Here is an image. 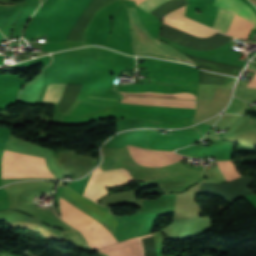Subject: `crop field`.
I'll return each mask as SVG.
<instances>
[{"label":"crop field","mask_w":256,"mask_h":256,"mask_svg":"<svg viewBox=\"0 0 256 256\" xmlns=\"http://www.w3.org/2000/svg\"><path fill=\"white\" fill-rule=\"evenodd\" d=\"M100 166L92 172L91 178H97L100 174ZM133 181L132 176L124 168L102 171L98 179H91L84 196L98 202L103 196L109 194L106 187L117 186Z\"/></svg>","instance_id":"crop-field-6"},{"label":"crop field","mask_w":256,"mask_h":256,"mask_svg":"<svg viewBox=\"0 0 256 256\" xmlns=\"http://www.w3.org/2000/svg\"><path fill=\"white\" fill-rule=\"evenodd\" d=\"M216 164L221 169L227 182L240 176L232 161H216Z\"/></svg>","instance_id":"crop-field-11"},{"label":"crop field","mask_w":256,"mask_h":256,"mask_svg":"<svg viewBox=\"0 0 256 256\" xmlns=\"http://www.w3.org/2000/svg\"><path fill=\"white\" fill-rule=\"evenodd\" d=\"M66 1L67 0H57L56 3L52 6V8L49 10L47 15L42 20V22L37 27L36 32L34 34L35 40L38 37L44 36V33H45L48 25L50 24L51 20L58 13V11L62 8V6L66 3Z\"/></svg>","instance_id":"crop-field-9"},{"label":"crop field","mask_w":256,"mask_h":256,"mask_svg":"<svg viewBox=\"0 0 256 256\" xmlns=\"http://www.w3.org/2000/svg\"><path fill=\"white\" fill-rule=\"evenodd\" d=\"M239 102V100L233 98L231 104L229 105L228 109L225 112L234 113Z\"/></svg>","instance_id":"crop-field-14"},{"label":"crop field","mask_w":256,"mask_h":256,"mask_svg":"<svg viewBox=\"0 0 256 256\" xmlns=\"http://www.w3.org/2000/svg\"><path fill=\"white\" fill-rule=\"evenodd\" d=\"M134 239H135V238H134ZM134 239L124 240V241H122V242H119V243L114 244V245H112V246H109V247H107V248H104V249H102V250H100V251L106 252V251H110V250L119 248V247H121V246H124V245H127V244L133 242Z\"/></svg>","instance_id":"crop-field-13"},{"label":"crop field","mask_w":256,"mask_h":256,"mask_svg":"<svg viewBox=\"0 0 256 256\" xmlns=\"http://www.w3.org/2000/svg\"><path fill=\"white\" fill-rule=\"evenodd\" d=\"M63 192L67 193L71 197L75 198L79 202L83 203L87 207L91 208L95 212L99 213L103 217L107 218L108 220L116 224L118 218L102 210L101 208L97 207L96 205L92 204L91 202L87 201L86 199L82 198L81 196L75 194L74 192L70 191L65 187ZM61 200H63L65 203H67L68 205L73 207L75 210L80 212L82 215H84L85 217L90 219L92 222L97 224L99 227H101L96 221H94L91 217H89L88 215H86L85 213L77 209L75 206H73L63 198H61ZM63 201L60 202L62 219H64L66 222H68L69 224L77 228L83 234V236L87 239V243L91 247L96 249L106 247L108 245V242L111 236L109 234H111L112 232L102 228L103 227L102 226L101 228L107 231L109 233L108 234L107 232L99 228L97 225L92 223L90 220L82 216L80 213L75 211L73 208L65 204Z\"/></svg>","instance_id":"crop-field-1"},{"label":"crop field","mask_w":256,"mask_h":256,"mask_svg":"<svg viewBox=\"0 0 256 256\" xmlns=\"http://www.w3.org/2000/svg\"><path fill=\"white\" fill-rule=\"evenodd\" d=\"M129 15L131 17V22L133 25L140 31V33L147 39L149 40L152 44L158 46L159 48L167 51L168 53L174 55L176 58H178L181 61L189 62L191 64H195L191 59L187 58L186 56L182 55L181 53L175 51L171 46L168 44L157 41L149 32L148 30L143 27L136 15V12L134 9H129L128 8ZM133 35H134V47H135V52L138 55H151V56H156V57H162L170 60H176L174 56L168 54L167 52L159 49L158 47L152 45L150 42H148L140 33L139 31L133 26ZM196 65V64H195Z\"/></svg>","instance_id":"crop-field-4"},{"label":"crop field","mask_w":256,"mask_h":256,"mask_svg":"<svg viewBox=\"0 0 256 256\" xmlns=\"http://www.w3.org/2000/svg\"><path fill=\"white\" fill-rule=\"evenodd\" d=\"M87 94H91V95H96V96H100V97H109V98H114V99H119L121 100L122 97L120 96V94H118L116 92L115 89H109L106 91H102V92H95V93H87ZM81 97V96H80ZM87 98V97H86ZM93 99V98H92ZM104 101V100H103ZM110 102V101H109ZM116 103V102H115Z\"/></svg>","instance_id":"crop-field-12"},{"label":"crop field","mask_w":256,"mask_h":256,"mask_svg":"<svg viewBox=\"0 0 256 256\" xmlns=\"http://www.w3.org/2000/svg\"><path fill=\"white\" fill-rule=\"evenodd\" d=\"M128 94L195 99V96L191 93L160 94V93L147 92V93H128ZM123 100L140 102V103L169 104V105L195 107V101H188V100H174V99H160V98H146V97H132V96H125ZM125 101H121L117 107L133 109V110L141 111L157 117L186 118L191 115H194V108H190V107L140 104V103L125 102Z\"/></svg>","instance_id":"crop-field-2"},{"label":"crop field","mask_w":256,"mask_h":256,"mask_svg":"<svg viewBox=\"0 0 256 256\" xmlns=\"http://www.w3.org/2000/svg\"><path fill=\"white\" fill-rule=\"evenodd\" d=\"M68 84H49L43 101L58 102L64 94Z\"/></svg>","instance_id":"crop-field-10"},{"label":"crop field","mask_w":256,"mask_h":256,"mask_svg":"<svg viewBox=\"0 0 256 256\" xmlns=\"http://www.w3.org/2000/svg\"><path fill=\"white\" fill-rule=\"evenodd\" d=\"M128 150L134 161L149 167H160L174 163L182 158H188L169 151H150L128 145Z\"/></svg>","instance_id":"crop-field-8"},{"label":"crop field","mask_w":256,"mask_h":256,"mask_svg":"<svg viewBox=\"0 0 256 256\" xmlns=\"http://www.w3.org/2000/svg\"><path fill=\"white\" fill-rule=\"evenodd\" d=\"M141 0H136V4L138 2H140ZM170 1V0H142L140 3H138L137 5L139 7H141L142 9H144L147 12H151L152 10H154L157 6ZM184 8H181L169 15H167L163 22L171 25L177 29H180L184 32H187L191 35H195L198 37H210L212 35H214L215 33H217V31L203 25L200 24L194 20H191L187 17L183 16L184 13Z\"/></svg>","instance_id":"crop-field-5"},{"label":"crop field","mask_w":256,"mask_h":256,"mask_svg":"<svg viewBox=\"0 0 256 256\" xmlns=\"http://www.w3.org/2000/svg\"><path fill=\"white\" fill-rule=\"evenodd\" d=\"M235 79H236V78H235ZM234 81H235V80H234ZM233 84H234V82H233ZM233 84H232V85H233Z\"/></svg>","instance_id":"crop-field-17"},{"label":"crop field","mask_w":256,"mask_h":256,"mask_svg":"<svg viewBox=\"0 0 256 256\" xmlns=\"http://www.w3.org/2000/svg\"><path fill=\"white\" fill-rule=\"evenodd\" d=\"M241 70H242V69H241ZM241 70H240V71H241ZM238 74H239V73H238ZM238 74H237L236 76H238Z\"/></svg>","instance_id":"crop-field-16"},{"label":"crop field","mask_w":256,"mask_h":256,"mask_svg":"<svg viewBox=\"0 0 256 256\" xmlns=\"http://www.w3.org/2000/svg\"><path fill=\"white\" fill-rule=\"evenodd\" d=\"M3 157L46 165L45 158L43 157L22 154V153L7 151V150L4 151ZM5 158H2V168L52 175L51 172L48 170V168L44 165H38L33 163L5 159ZM5 169H2V174L50 176V175L27 173V172L13 171V170H5Z\"/></svg>","instance_id":"crop-field-7"},{"label":"crop field","mask_w":256,"mask_h":256,"mask_svg":"<svg viewBox=\"0 0 256 256\" xmlns=\"http://www.w3.org/2000/svg\"><path fill=\"white\" fill-rule=\"evenodd\" d=\"M214 6L238 15L245 21L253 23V28H256V15L244 2L240 0H216ZM223 10L218 9L213 28L224 34L246 39L253 24Z\"/></svg>","instance_id":"crop-field-3"},{"label":"crop field","mask_w":256,"mask_h":256,"mask_svg":"<svg viewBox=\"0 0 256 256\" xmlns=\"http://www.w3.org/2000/svg\"><path fill=\"white\" fill-rule=\"evenodd\" d=\"M248 87L256 88V73L252 78L251 82L249 83Z\"/></svg>","instance_id":"crop-field-15"}]
</instances>
